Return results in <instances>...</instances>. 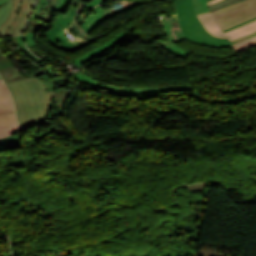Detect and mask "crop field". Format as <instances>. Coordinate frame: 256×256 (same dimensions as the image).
Instances as JSON below:
<instances>
[{"label":"crop field","instance_id":"8a807250","mask_svg":"<svg viewBox=\"0 0 256 256\" xmlns=\"http://www.w3.org/2000/svg\"><path fill=\"white\" fill-rule=\"evenodd\" d=\"M7 85L12 93L19 125L23 129L46 121L55 91L45 92L44 83L36 77Z\"/></svg>","mask_w":256,"mask_h":256},{"label":"crop field","instance_id":"ac0d7876","mask_svg":"<svg viewBox=\"0 0 256 256\" xmlns=\"http://www.w3.org/2000/svg\"><path fill=\"white\" fill-rule=\"evenodd\" d=\"M180 27L186 38L207 46H232L229 39L211 35L194 11L192 0H174Z\"/></svg>","mask_w":256,"mask_h":256},{"label":"crop field","instance_id":"34b2d1b8","mask_svg":"<svg viewBox=\"0 0 256 256\" xmlns=\"http://www.w3.org/2000/svg\"><path fill=\"white\" fill-rule=\"evenodd\" d=\"M221 30L228 29L256 16V0H245L212 12Z\"/></svg>","mask_w":256,"mask_h":256},{"label":"crop field","instance_id":"412701ff","mask_svg":"<svg viewBox=\"0 0 256 256\" xmlns=\"http://www.w3.org/2000/svg\"><path fill=\"white\" fill-rule=\"evenodd\" d=\"M76 11V0L73 2L71 7L69 8L66 15L60 13L59 18L54 26L47 32V39L48 41L61 49H65L67 51H75L83 46L76 43L73 39L69 40L66 34L68 31L66 27L73 19ZM73 46V47H71Z\"/></svg>","mask_w":256,"mask_h":256},{"label":"crop field","instance_id":"f4fd0767","mask_svg":"<svg viewBox=\"0 0 256 256\" xmlns=\"http://www.w3.org/2000/svg\"><path fill=\"white\" fill-rule=\"evenodd\" d=\"M34 2L35 0H13L12 11L0 27V36L20 34Z\"/></svg>","mask_w":256,"mask_h":256},{"label":"crop field","instance_id":"dd49c442","mask_svg":"<svg viewBox=\"0 0 256 256\" xmlns=\"http://www.w3.org/2000/svg\"><path fill=\"white\" fill-rule=\"evenodd\" d=\"M72 77L77 79L81 83H85L92 86H100L108 91H113V92L123 93V94H157V93L194 91L192 85L165 87V88H124V87H118V86H112V85H101L96 80L84 75L83 73L72 75Z\"/></svg>","mask_w":256,"mask_h":256},{"label":"crop field","instance_id":"e52e79f7","mask_svg":"<svg viewBox=\"0 0 256 256\" xmlns=\"http://www.w3.org/2000/svg\"><path fill=\"white\" fill-rule=\"evenodd\" d=\"M198 16L201 19L204 26L206 27V29L211 34L219 37L229 38L230 41L256 32V21H254L246 26L235 29L227 34H223L219 27L216 25L215 21L213 20L210 12L199 14Z\"/></svg>","mask_w":256,"mask_h":256},{"label":"crop field","instance_id":"d8731c3e","mask_svg":"<svg viewBox=\"0 0 256 256\" xmlns=\"http://www.w3.org/2000/svg\"><path fill=\"white\" fill-rule=\"evenodd\" d=\"M143 3H145V2L139 1V2H137V3H135V4L131 5V6H128V7L124 8V9H122L120 11L108 14L100 22H99V19H100V16L102 14L103 8L100 5H98L90 13V15L88 16V18L85 20V22L82 24L81 27L83 28L84 31H86V32H88L90 34L104 20L112 18V17H114L116 15H119V14H121V13H123V12H125V11H127V10H129L131 8H134V7L138 6V5H141Z\"/></svg>","mask_w":256,"mask_h":256},{"label":"crop field","instance_id":"5a996713","mask_svg":"<svg viewBox=\"0 0 256 256\" xmlns=\"http://www.w3.org/2000/svg\"><path fill=\"white\" fill-rule=\"evenodd\" d=\"M127 34H128L127 31H123L119 35L114 37L112 40L98 46L97 48H95L85 54H82L76 58H73L71 60L73 62H75L77 64V66H81V65L91 61L92 59L96 58L97 56L101 55L108 49H110L113 45L117 44L120 40H122L124 37H126Z\"/></svg>","mask_w":256,"mask_h":256},{"label":"crop field","instance_id":"3316defc","mask_svg":"<svg viewBox=\"0 0 256 256\" xmlns=\"http://www.w3.org/2000/svg\"><path fill=\"white\" fill-rule=\"evenodd\" d=\"M0 76L3 78L5 83L24 79L17 69L10 63L0 49Z\"/></svg>","mask_w":256,"mask_h":256},{"label":"crop field","instance_id":"28ad6ade","mask_svg":"<svg viewBox=\"0 0 256 256\" xmlns=\"http://www.w3.org/2000/svg\"><path fill=\"white\" fill-rule=\"evenodd\" d=\"M21 130L15 118V113L0 115V138Z\"/></svg>","mask_w":256,"mask_h":256},{"label":"crop field","instance_id":"d1516ede","mask_svg":"<svg viewBox=\"0 0 256 256\" xmlns=\"http://www.w3.org/2000/svg\"><path fill=\"white\" fill-rule=\"evenodd\" d=\"M14 112L11 95L0 79V113Z\"/></svg>","mask_w":256,"mask_h":256},{"label":"crop field","instance_id":"22f410ed","mask_svg":"<svg viewBox=\"0 0 256 256\" xmlns=\"http://www.w3.org/2000/svg\"><path fill=\"white\" fill-rule=\"evenodd\" d=\"M16 133H18V132H16ZM16 133H14V134H16ZM14 134H12V135H14ZM12 135H10L6 138L0 139V151L21 148L22 134L15 136V137H13Z\"/></svg>","mask_w":256,"mask_h":256},{"label":"crop field","instance_id":"cbeb9de0","mask_svg":"<svg viewBox=\"0 0 256 256\" xmlns=\"http://www.w3.org/2000/svg\"><path fill=\"white\" fill-rule=\"evenodd\" d=\"M137 1H122V2H117V3H113L111 4L112 8H109V9H105L103 11V14L101 16V19L108 13H111V12H114V11H117V10H120L128 5H131L133 3H135ZM100 19V20H101Z\"/></svg>","mask_w":256,"mask_h":256},{"label":"crop field","instance_id":"5142ce71","mask_svg":"<svg viewBox=\"0 0 256 256\" xmlns=\"http://www.w3.org/2000/svg\"><path fill=\"white\" fill-rule=\"evenodd\" d=\"M255 45H256V37H254L248 41H245V42L234 44V48H235L236 52L239 53V52L246 50Z\"/></svg>","mask_w":256,"mask_h":256},{"label":"crop field","instance_id":"d9b57169","mask_svg":"<svg viewBox=\"0 0 256 256\" xmlns=\"http://www.w3.org/2000/svg\"><path fill=\"white\" fill-rule=\"evenodd\" d=\"M240 1H242V0H221L219 2H216L214 4L209 5V8L212 12V11H215L217 9L229 6L231 4H234V3H237V2H240Z\"/></svg>","mask_w":256,"mask_h":256},{"label":"crop field","instance_id":"733c2abd","mask_svg":"<svg viewBox=\"0 0 256 256\" xmlns=\"http://www.w3.org/2000/svg\"><path fill=\"white\" fill-rule=\"evenodd\" d=\"M12 7V1L0 6V25L6 20Z\"/></svg>","mask_w":256,"mask_h":256},{"label":"crop field","instance_id":"4a817a6b","mask_svg":"<svg viewBox=\"0 0 256 256\" xmlns=\"http://www.w3.org/2000/svg\"><path fill=\"white\" fill-rule=\"evenodd\" d=\"M193 3L197 14L209 11L206 0H193Z\"/></svg>","mask_w":256,"mask_h":256},{"label":"crop field","instance_id":"bc2a9ffb","mask_svg":"<svg viewBox=\"0 0 256 256\" xmlns=\"http://www.w3.org/2000/svg\"><path fill=\"white\" fill-rule=\"evenodd\" d=\"M16 41L19 44V46L24 50V52L30 57L32 58L34 61H36L37 63L41 62L42 60L38 59L36 56H34L32 53H30L26 46L23 44V34H21L20 36H16Z\"/></svg>","mask_w":256,"mask_h":256},{"label":"crop field","instance_id":"214f88e0","mask_svg":"<svg viewBox=\"0 0 256 256\" xmlns=\"http://www.w3.org/2000/svg\"><path fill=\"white\" fill-rule=\"evenodd\" d=\"M35 33H25V44L30 47L36 45L34 42Z\"/></svg>","mask_w":256,"mask_h":256},{"label":"crop field","instance_id":"92a150f3","mask_svg":"<svg viewBox=\"0 0 256 256\" xmlns=\"http://www.w3.org/2000/svg\"><path fill=\"white\" fill-rule=\"evenodd\" d=\"M72 29H74L77 32L78 35H80V36H82L86 39H90L89 35L86 32H84L82 30V28L79 27L76 23H74V25L72 26Z\"/></svg>","mask_w":256,"mask_h":256},{"label":"crop field","instance_id":"dafd665d","mask_svg":"<svg viewBox=\"0 0 256 256\" xmlns=\"http://www.w3.org/2000/svg\"><path fill=\"white\" fill-rule=\"evenodd\" d=\"M106 1H108V0H91V1L88 2L87 6L85 7V9L83 11H85V10L95 6V5L102 4Z\"/></svg>","mask_w":256,"mask_h":256},{"label":"crop field","instance_id":"00972430","mask_svg":"<svg viewBox=\"0 0 256 256\" xmlns=\"http://www.w3.org/2000/svg\"><path fill=\"white\" fill-rule=\"evenodd\" d=\"M254 20H256V17L253 18V19H250V20H248V21H246V22H244V23H242V24H239V25H237V26H235V27H232V28H230V29H228V30H224L223 33H226V32H228V31H230V30H232V29H235V28H238V27H240V26H243V25H245V24H247V23H249V22H252V21H254Z\"/></svg>","mask_w":256,"mask_h":256},{"label":"crop field","instance_id":"a9b5d70f","mask_svg":"<svg viewBox=\"0 0 256 256\" xmlns=\"http://www.w3.org/2000/svg\"><path fill=\"white\" fill-rule=\"evenodd\" d=\"M43 2H44V0H41L39 6H38V8H37V10L35 11V13H34V15H33V17H32L33 20H36V17H37V15H38V13H39V11H40L42 5H43Z\"/></svg>","mask_w":256,"mask_h":256},{"label":"crop field","instance_id":"4177f3b9","mask_svg":"<svg viewBox=\"0 0 256 256\" xmlns=\"http://www.w3.org/2000/svg\"><path fill=\"white\" fill-rule=\"evenodd\" d=\"M253 36H256V33H254V34H252V35H249V36H246V37H244V38H241V39L232 41V44L238 43V42H241V41H245V40H247V39H249V38H251V37H253Z\"/></svg>","mask_w":256,"mask_h":256},{"label":"crop field","instance_id":"730fd06b","mask_svg":"<svg viewBox=\"0 0 256 256\" xmlns=\"http://www.w3.org/2000/svg\"><path fill=\"white\" fill-rule=\"evenodd\" d=\"M66 1H67V0H61L59 6L52 12V14H53L54 12H57V13H58V11L61 9V7L63 6V4H64ZM51 17H52V15H51ZM51 17H50V20H51ZM50 20H49V22H50ZM49 22H48V23H49Z\"/></svg>","mask_w":256,"mask_h":256},{"label":"crop field","instance_id":"eef30255","mask_svg":"<svg viewBox=\"0 0 256 256\" xmlns=\"http://www.w3.org/2000/svg\"><path fill=\"white\" fill-rule=\"evenodd\" d=\"M87 1H89V0H78V9L81 7V5H82L84 2L87 3ZM79 10H80V9H79Z\"/></svg>","mask_w":256,"mask_h":256},{"label":"crop field","instance_id":"ae1a2a85","mask_svg":"<svg viewBox=\"0 0 256 256\" xmlns=\"http://www.w3.org/2000/svg\"><path fill=\"white\" fill-rule=\"evenodd\" d=\"M9 0H0V5H2L3 3L7 2Z\"/></svg>","mask_w":256,"mask_h":256},{"label":"crop field","instance_id":"d3111659","mask_svg":"<svg viewBox=\"0 0 256 256\" xmlns=\"http://www.w3.org/2000/svg\"><path fill=\"white\" fill-rule=\"evenodd\" d=\"M216 1H219V0H215V1L209 2L208 5L211 4V3H214V2H216Z\"/></svg>","mask_w":256,"mask_h":256},{"label":"crop field","instance_id":"750c4746","mask_svg":"<svg viewBox=\"0 0 256 256\" xmlns=\"http://www.w3.org/2000/svg\"><path fill=\"white\" fill-rule=\"evenodd\" d=\"M207 1L209 2V1H212V0H207Z\"/></svg>","mask_w":256,"mask_h":256}]
</instances>
